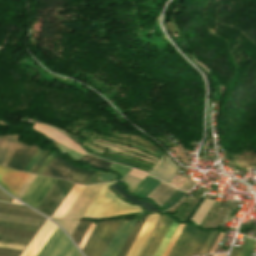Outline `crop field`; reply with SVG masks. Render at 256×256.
Instances as JSON below:
<instances>
[{
    "label": "crop field",
    "mask_w": 256,
    "mask_h": 256,
    "mask_svg": "<svg viewBox=\"0 0 256 256\" xmlns=\"http://www.w3.org/2000/svg\"><path fill=\"white\" fill-rule=\"evenodd\" d=\"M34 147H35L34 151L29 156L30 152L32 151V149ZM28 149H29V146L24 145V144L19 142L16 149H15V152L12 155V157H11L7 166L10 167V168H13L15 170L23 171L24 167L29 162V160L31 159L33 154L36 152L38 147L33 145V147L29 149V151H28ZM26 152H27V154L25 155Z\"/></svg>",
    "instance_id": "22f410ed"
},
{
    "label": "crop field",
    "mask_w": 256,
    "mask_h": 256,
    "mask_svg": "<svg viewBox=\"0 0 256 256\" xmlns=\"http://www.w3.org/2000/svg\"><path fill=\"white\" fill-rule=\"evenodd\" d=\"M57 226L47 221L22 256H36Z\"/></svg>",
    "instance_id": "28ad6ade"
},
{
    "label": "crop field",
    "mask_w": 256,
    "mask_h": 256,
    "mask_svg": "<svg viewBox=\"0 0 256 256\" xmlns=\"http://www.w3.org/2000/svg\"><path fill=\"white\" fill-rule=\"evenodd\" d=\"M0 213L3 214H10V215H16V216H23V217H29V218H36V219H42L45 220L46 218L40 216L39 214L27 211V210H20V209H14V208H7V207H0Z\"/></svg>",
    "instance_id": "d9b57169"
},
{
    "label": "crop field",
    "mask_w": 256,
    "mask_h": 256,
    "mask_svg": "<svg viewBox=\"0 0 256 256\" xmlns=\"http://www.w3.org/2000/svg\"><path fill=\"white\" fill-rule=\"evenodd\" d=\"M121 220L98 222L83 248L86 256H102Z\"/></svg>",
    "instance_id": "ac0d7876"
},
{
    "label": "crop field",
    "mask_w": 256,
    "mask_h": 256,
    "mask_svg": "<svg viewBox=\"0 0 256 256\" xmlns=\"http://www.w3.org/2000/svg\"><path fill=\"white\" fill-rule=\"evenodd\" d=\"M81 256V255H80Z\"/></svg>",
    "instance_id": "425ffa30"
},
{
    "label": "crop field",
    "mask_w": 256,
    "mask_h": 256,
    "mask_svg": "<svg viewBox=\"0 0 256 256\" xmlns=\"http://www.w3.org/2000/svg\"><path fill=\"white\" fill-rule=\"evenodd\" d=\"M219 233H220V231H218V233H217L216 237L214 238V240H213V242H212L211 246L209 247V249H208L207 253H209V251H210V249H211V247H212L213 243L215 242V240H216V238H217V236H218V234H219Z\"/></svg>",
    "instance_id": "b54c1fbb"
},
{
    "label": "crop field",
    "mask_w": 256,
    "mask_h": 256,
    "mask_svg": "<svg viewBox=\"0 0 256 256\" xmlns=\"http://www.w3.org/2000/svg\"><path fill=\"white\" fill-rule=\"evenodd\" d=\"M0 220H7V221L26 223V224H32V225H38V226H42V224L44 223V221L42 220L9 216V215H3V214H0Z\"/></svg>",
    "instance_id": "bc2a9ffb"
},
{
    "label": "crop field",
    "mask_w": 256,
    "mask_h": 256,
    "mask_svg": "<svg viewBox=\"0 0 256 256\" xmlns=\"http://www.w3.org/2000/svg\"><path fill=\"white\" fill-rule=\"evenodd\" d=\"M146 217L147 216H142L141 217L139 225H137V222H138V220H137L135 226L133 227L130 235L128 236L126 242L124 243V245H123L122 249L120 250L118 256H125V254L127 253L129 247L131 246L134 238L136 237L138 231L140 230L143 222L145 221Z\"/></svg>",
    "instance_id": "733c2abd"
},
{
    "label": "crop field",
    "mask_w": 256,
    "mask_h": 256,
    "mask_svg": "<svg viewBox=\"0 0 256 256\" xmlns=\"http://www.w3.org/2000/svg\"><path fill=\"white\" fill-rule=\"evenodd\" d=\"M12 200H13L12 198H10L7 194H5L0 190V201L11 203Z\"/></svg>",
    "instance_id": "b80d0937"
},
{
    "label": "crop field",
    "mask_w": 256,
    "mask_h": 256,
    "mask_svg": "<svg viewBox=\"0 0 256 256\" xmlns=\"http://www.w3.org/2000/svg\"><path fill=\"white\" fill-rule=\"evenodd\" d=\"M204 200V198H200L198 203L196 204V206L193 208V210L191 211V213L189 214V216L186 218V220H190V218L195 214L196 210L198 209L199 205L202 203V201Z\"/></svg>",
    "instance_id": "c035e120"
},
{
    "label": "crop field",
    "mask_w": 256,
    "mask_h": 256,
    "mask_svg": "<svg viewBox=\"0 0 256 256\" xmlns=\"http://www.w3.org/2000/svg\"><path fill=\"white\" fill-rule=\"evenodd\" d=\"M73 186L72 182L58 179L36 210L47 216H52Z\"/></svg>",
    "instance_id": "f4fd0767"
},
{
    "label": "crop field",
    "mask_w": 256,
    "mask_h": 256,
    "mask_svg": "<svg viewBox=\"0 0 256 256\" xmlns=\"http://www.w3.org/2000/svg\"><path fill=\"white\" fill-rule=\"evenodd\" d=\"M110 184L107 183L102 187L81 218L96 219L143 212L138 206H130L116 198V195L107 188Z\"/></svg>",
    "instance_id": "8a807250"
},
{
    "label": "crop field",
    "mask_w": 256,
    "mask_h": 256,
    "mask_svg": "<svg viewBox=\"0 0 256 256\" xmlns=\"http://www.w3.org/2000/svg\"><path fill=\"white\" fill-rule=\"evenodd\" d=\"M79 252L60 229L54 231L37 256H79Z\"/></svg>",
    "instance_id": "412701ff"
},
{
    "label": "crop field",
    "mask_w": 256,
    "mask_h": 256,
    "mask_svg": "<svg viewBox=\"0 0 256 256\" xmlns=\"http://www.w3.org/2000/svg\"><path fill=\"white\" fill-rule=\"evenodd\" d=\"M82 189H83V186H79L75 184V186L69 192L67 197L61 203V205L59 206V208L56 210V212L53 214L52 217L62 218V216L65 214L67 209L70 207V205L72 204V202L75 200V198L78 196V194Z\"/></svg>",
    "instance_id": "cbeb9de0"
},
{
    "label": "crop field",
    "mask_w": 256,
    "mask_h": 256,
    "mask_svg": "<svg viewBox=\"0 0 256 256\" xmlns=\"http://www.w3.org/2000/svg\"><path fill=\"white\" fill-rule=\"evenodd\" d=\"M109 170L120 174L122 179H123L126 176V174L131 170V168H127V167L120 166V165L112 163Z\"/></svg>",
    "instance_id": "750c4746"
},
{
    "label": "crop field",
    "mask_w": 256,
    "mask_h": 256,
    "mask_svg": "<svg viewBox=\"0 0 256 256\" xmlns=\"http://www.w3.org/2000/svg\"><path fill=\"white\" fill-rule=\"evenodd\" d=\"M183 227H184V225L179 224V226H178L174 236L172 237V239H171L167 249L165 250L163 256H167L168 255L169 251L171 250L172 246L174 245V243H175L176 239L178 238L180 232L182 231Z\"/></svg>",
    "instance_id": "bd1437ed"
},
{
    "label": "crop field",
    "mask_w": 256,
    "mask_h": 256,
    "mask_svg": "<svg viewBox=\"0 0 256 256\" xmlns=\"http://www.w3.org/2000/svg\"><path fill=\"white\" fill-rule=\"evenodd\" d=\"M135 221H129L124 229V231L122 232L118 242L116 243L113 251L111 252L110 256H116L121 248V246L123 245L126 237L128 236L130 230L132 229L133 225H134Z\"/></svg>",
    "instance_id": "214f88e0"
},
{
    "label": "crop field",
    "mask_w": 256,
    "mask_h": 256,
    "mask_svg": "<svg viewBox=\"0 0 256 256\" xmlns=\"http://www.w3.org/2000/svg\"><path fill=\"white\" fill-rule=\"evenodd\" d=\"M178 224L173 220L169 230L167 231L164 239L162 240L158 250L156 251L154 256H162L164 250L166 249L171 237L173 236Z\"/></svg>",
    "instance_id": "4a817a6b"
},
{
    "label": "crop field",
    "mask_w": 256,
    "mask_h": 256,
    "mask_svg": "<svg viewBox=\"0 0 256 256\" xmlns=\"http://www.w3.org/2000/svg\"><path fill=\"white\" fill-rule=\"evenodd\" d=\"M80 223H81V221H79V223H78V225H77L76 229L74 230V232H73V234H72V236H71L72 238H73V236H74V234H75L76 230L78 229V227H79Z\"/></svg>",
    "instance_id": "d23c7cc5"
},
{
    "label": "crop field",
    "mask_w": 256,
    "mask_h": 256,
    "mask_svg": "<svg viewBox=\"0 0 256 256\" xmlns=\"http://www.w3.org/2000/svg\"><path fill=\"white\" fill-rule=\"evenodd\" d=\"M76 169V167L66 163L57 155L47 166L42 175L57 178H65L69 180Z\"/></svg>",
    "instance_id": "5a996713"
},
{
    "label": "crop field",
    "mask_w": 256,
    "mask_h": 256,
    "mask_svg": "<svg viewBox=\"0 0 256 256\" xmlns=\"http://www.w3.org/2000/svg\"><path fill=\"white\" fill-rule=\"evenodd\" d=\"M56 181L55 178L38 176L21 200L36 209Z\"/></svg>",
    "instance_id": "dd49c442"
},
{
    "label": "crop field",
    "mask_w": 256,
    "mask_h": 256,
    "mask_svg": "<svg viewBox=\"0 0 256 256\" xmlns=\"http://www.w3.org/2000/svg\"><path fill=\"white\" fill-rule=\"evenodd\" d=\"M0 227L33 231V232H37L38 229L40 228L38 226L19 224V223L7 222V221H0Z\"/></svg>",
    "instance_id": "dafd665d"
},
{
    "label": "crop field",
    "mask_w": 256,
    "mask_h": 256,
    "mask_svg": "<svg viewBox=\"0 0 256 256\" xmlns=\"http://www.w3.org/2000/svg\"><path fill=\"white\" fill-rule=\"evenodd\" d=\"M216 233H217V231H212L211 232V234H210L209 238L207 239L204 247L202 248L200 254L206 253V251H207L208 247L210 246V244H211L213 238L215 237Z\"/></svg>",
    "instance_id": "5866460e"
},
{
    "label": "crop field",
    "mask_w": 256,
    "mask_h": 256,
    "mask_svg": "<svg viewBox=\"0 0 256 256\" xmlns=\"http://www.w3.org/2000/svg\"><path fill=\"white\" fill-rule=\"evenodd\" d=\"M256 244V240L250 239V238H245L243 245L240 249V252L238 254V256H250L253 248Z\"/></svg>",
    "instance_id": "a9b5d70f"
},
{
    "label": "crop field",
    "mask_w": 256,
    "mask_h": 256,
    "mask_svg": "<svg viewBox=\"0 0 256 256\" xmlns=\"http://www.w3.org/2000/svg\"><path fill=\"white\" fill-rule=\"evenodd\" d=\"M81 161H84L88 164H91L92 166L99 168V169H108L110 163L104 160H100L94 157H91L89 155H85V157H83L81 159Z\"/></svg>",
    "instance_id": "00972430"
},
{
    "label": "crop field",
    "mask_w": 256,
    "mask_h": 256,
    "mask_svg": "<svg viewBox=\"0 0 256 256\" xmlns=\"http://www.w3.org/2000/svg\"><path fill=\"white\" fill-rule=\"evenodd\" d=\"M0 206H7V207H14V208H20V209H27V210H30L29 208H27V207H25V206H18V205L7 204V203H0Z\"/></svg>",
    "instance_id": "c21b1889"
},
{
    "label": "crop field",
    "mask_w": 256,
    "mask_h": 256,
    "mask_svg": "<svg viewBox=\"0 0 256 256\" xmlns=\"http://www.w3.org/2000/svg\"><path fill=\"white\" fill-rule=\"evenodd\" d=\"M55 156V154H51L42 164L41 166L38 168V170L36 171V174L41 175V173L43 172V170L46 168V166L48 165V163L53 159V157Z\"/></svg>",
    "instance_id": "028f5c9d"
},
{
    "label": "crop field",
    "mask_w": 256,
    "mask_h": 256,
    "mask_svg": "<svg viewBox=\"0 0 256 256\" xmlns=\"http://www.w3.org/2000/svg\"><path fill=\"white\" fill-rule=\"evenodd\" d=\"M94 227H95V224L91 223V225H90V227H89V229H88L86 235L84 236V238H83V240H82V242H81V244H80V246H79L81 250H82L84 244L86 243L88 237L90 236L92 230L94 229Z\"/></svg>",
    "instance_id": "0bd39190"
},
{
    "label": "crop field",
    "mask_w": 256,
    "mask_h": 256,
    "mask_svg": "<svg viewBox=\"0 0 256 256\" xmlns=\"http://www.w3.org/2000/svg\"><path fill=\"white\" fill-rule=\"evenodd\" d=\"M22 251L0 248V256H19Z\"/></svg>",
    "instance_id": "d32e631a"
},
{
    "label": "crop field",
    "mask_w": 256,
    "mask_h": 256,
    "mask_svg": "<svg viewBox=\"0 0 256 256\" xmlns=\"http://www.w3.org/2000/svg\"><path fill=\"white\" fill-rule=\"evenodd\" d=\"M209 233L185 225L168 256H193L199 254Z\"/></svg>",
    "instance_id": "34b2d1b8"
},
{
    "label": "crop field",
    "mask_w": 256,
    "mask_h": 256,
    "mask_svg": "<svg viewBox=\"0 0 256 256\" xmlns=\"http://www.w3.org/2000/svg\"><path fill=\"white\" fill-rule=\"evenodd\" d=\"M238 252H239V251H237V250H233L231 256H237Z\"/></svg>",
    "instance_id": "5d738f31"
},
{
    "label": "crop field",
    "mask_w": 256,
    "mask_h": 256,
    "mask_svg": "<svg viewBox=\"0 0 256 256\" xmlns=\"http://www.w3.org/2000/svg\"><path fill=\"white\" fill-rule=\"evenodd\" d=\"M0 233L21 236V237H28V238H32L33 235L35 234L33 232H26V231H19V230L5 229V228H0Z\"/></svg>",
    "instance_id": "eef30255"
},
{
    "label": "crop field",
    "mask_w": 256,
    "mask_h": 256,
    "mask_svg": "<svg viewBox=\"0 0 256 256\" xmlns=\"http://www.w3.org/2000/svg\"><path fill=\"white\" fill-rule=\"evenodd\" d=\"M0 241L27 245L30 239L0 234Z\"/></svg>",
    "instance_id": "730fd06b"
},
{
    "label": "crop field",
    "mask_w": 256,
    "mask_h": 256,
    "mask_svg": "<svg viewBox=\"0 0 256 256\" xmlns=\"http://www.w3.org/2000/svg\"><path fill=\"white\" fill-rule=\"evenodd\" d=\"M90 225V222H86L83 221L82 225L80 226L79 230L77 231V233L74 236V241L77 243V245L79 246L84 234L86 233L88 227Z\"/></svg>",
    "instance_id": "d3111659"
},
{
    "label": "crop field",
    "mask_w": 256,
    "mask_h": 256,
    "mask_svg": "<svg viewBox=\"0 0 256 256\" xmlns=\"http://www.w3.org/2000/svg\"><path fill=\"white\" fill-rule=\"evenodd\" d=\"M42 150L39 148L37 150V152L34 154V156L32 157V159L30 160V162L27 164V166L25 167L24 171L29 172L31 170V168L34 166V164L36 163V161L39 159V157L42 154Z\"/></svg>",
    "instance_id": "120bbe31"
},
{
    "label": "crop field",
    "mask_w": 256,
    "mask_h": 256,
    "mask_svg": "<svg viewBox=\"0 0 256 256\" xmlns=\"http://www.w3.org/2000/svg\"><path fill=\"white\" fill-rule=\"evenodd\" d=\"M14 136H7L5 138L4 144L2 146V148L0 149V164H2L11 144H12V140H13Z\"/></svg>",
    "instance_id": "ae1a2a85"
},
{
    "label": "crop field",
    "mask_w": 256,
    "mask_h": 256,
    "mask_svg": "<svg viewBox=\"0 0 256 256\" xmlns=\"http://www.w3.org/2000/svg\"><path fill=\"white\" fill-rule=\"evenodd\" d=\"M0 247L24 250L25 246L0 242Z\"/></svg>",
    "instance_id": "e1f06a70"
},
{
    "label": "crop field",
    "mask_w": 256,
    "mask_h": 256,
    "mask_svg": "<svg viewBox=\"0 0 256 256\" xmlns=\"http://www.w3.org/2000/svg\"><path fill=\"white\" fill-rule=\"evenodd\" d=\"M128 222H129V221H128ZM126 223H127V221L122 220V222H121L119 228L117 229V231H116V233H115L113 239L111 240V242H110V244H109L108 248L106 249V251H105V253H104L103 256H109V254H110V252L112 251V249H113L115 243L117 242V240H118V238H119L121 232L123 231V229H124Z\"/></svg>",
    "instance_id": "4177f3b9"
},
{
    "label": "crop field",
    "mask_w": 256,
    "mask_h": 256,
    "mask_svg": "<svg viewBox=\"0 0 256 256\" xmlns=\"http://www.w3.org/2000/svg\"><path fill=\"white\" fill-rule=\"evenodd\" d=\"M33 129H36L37 131L41 132L45 136L65 145L83 155L86 154L77 143H75L73 140L68 138L66 134H64L60 131L52 129L48 126L38 125V124H35Z\"/></svg>",
    "instance_id": "d1516ede"
},
{
    "label": "crop field",
    "mask_w": 256,
    "mask_h": 256,
    "mask_svg": "<svg viewBox=\"0 0 256 256\" xmlns=\"http://www.w3.org/2000/svg\"><path fill=\"white\" fill-rule=\"evenodd\" d=\"M111 188L114 189L116 192H118L120 195L125 197L127 200L133 203L140 204L142 207H144L147 211H158L156 208H154L152 205L149 203L143 201V200H138L128 194L125 193V191L122 189V187L116 182L111 185Z\"/></svg>",
    "instance_id": "5142ce71"
},
{
    "label": "crop field",
    "mask_w": 256,
    "mask_h": 256,
    "mask_svg": "<svg viewBox=\"0 0 256 256\" xmlns=\"http://www.w3.org/2000/svg\"><path fill=\"white\" fill-rule=\"evenodd\" d=\"M130 175L136 176V177L141 178V179H143V178L146 176V174L141 173V172L136 171V170H133V171L130 173Z\"/></svg>",
    "instance_id": "03da06ac"
},
{
    "label": "crop field",
    "mask_w": 256,
    "mask_h": 256,
    "mask_svg": "<svg viewBox=\"0 0 256 256\" xmlns=\"http://www.w3.org/2000/svg\"><path fill=\"white\" fill-rule=\"evenodd\" d=\"M29 176V174L15 172L0 166V185L14 196Z\"/></svg>",
    "instance_id": "e52e79f7"
},
{
    "label": "crop field",
    "mask_w": 256,
    "mask_h": 256,
    "mask_svg": "<svg viewBox=\"0 0 256 256\" xmlns=\"http://www.w3.org/2000/svg\"><path fill=\"white\" fill-rule=\"evenodd\" d=\"M88 171L83 168H78L76 172L72 175L70 181L84 185V183L94 174Z\"/></svg>",
    "instance_id": "92a150f3"
},
{
    "label": "crop field",
    "mask_w": 256,
    "mask_h": 256,
    "mask_svg": "<svg viewBox=\"0 0 256 256\" xmlns=\"http://www.w3.org/2000/svg\"><path fill=\"white\" fill-rule=\"evenodd\" d=\"M158 216H159V214L148 215L141 231L139 232V234H138V236H137L134 244L132 245L127 256H138L143 245L145 244L146 240L148 239V237L156 223Z\"/></svg>",
    "instance_id": "3316defc"
},
{
    "label": "crop field",
    "mask_w": 256,
    "mask_h": 256,
    "mask_svg": "<svg viewBox=\"0 0 256 256\" xmlns=\"http://www.w3.org/2000/svg\"><path fill=\"white\" fill-rule=\"evenodd\" d=\"M37 176L31 175L30 178L27 180V182L24 184V186L20 189V191L17 193L16 197L20 198L24 195V193L27 191V189L30 187V185L33 183V181L36 179Z\"/></svg>",
    "instance_id": "1d83c4d3"
},
{
    "label": "crop field",
    "mask_w": 256,
    "mask_h": 256,
    "mask_svg": "<svg viewBox=\"0 0 256 256\" xmlns=\"http://www.w3.org/2000/svg\"><path fill=\"white\" fill-rule=\"evenodd\" d=\"M172 219L162 215L157 226L139 256H153L168 230Z\"/></svg>",
    "instance_id": "d8731c3e"
}]
</instances>
